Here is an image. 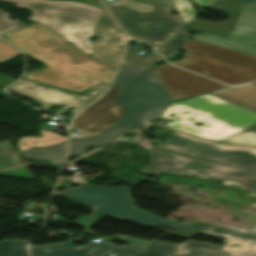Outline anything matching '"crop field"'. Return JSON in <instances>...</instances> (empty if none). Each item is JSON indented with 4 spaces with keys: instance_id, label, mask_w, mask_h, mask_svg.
<instances>
[{
    "instance_id": "crop-field-12",
    "label": "crop field",
    "mask_w": 256,
    "mask_h": 256,
    "mask_svg": "<svg viewBox=\"0 0 256 256\" xmlns=\"http://www.w3.org/2000/svg\"><path fill=\"white\" fill-rule=\"evenodd\" d=\"M192 39L256 55V3H245L227 38L199 33Z\"/></svg>"
},
{
    "instance_id": "crop-field-8",
    "label": "crop field",
    "mask_w": 256,
    "mask_h": 256,
    "mask_svg": "<svg viewBox=\"0 0 256 256\" xmlns=\"http://www.w3.org/2000/svg\"><path fill=\"white\" fill-rule=\"evenodd\" d=\"M176 247L168 241L154 239L147 247L115 246L106 240L74 247L73 242L30 246L32 256H170Z\"/></svg>"
},
{
    "instance_id": "crop-field-33",
    "label": "crop field",
    "mask_w": 256,
    "mask_h": 256,
    "mask_svg": "<svg viewBox=\"0 0 256 256\" xmlns=\"http://www.w3.org/2000/svg\"><path fill=\"white\" fill-rule=\"evenodd\" d=\"M39 180L45 182L46 184L50 185V186H53L52 184L48 183V179L46 177H43V178H39Z\"/></svg>"
},
{
    "instance_id": "crop-field-24",
    "label": "crop field",
    "mask_w": 256,
    "mask_h": 256,
    "mask_svg": "<svg viewBox=\"0 0 256 256\" xmlns=\"http://www.w3.org/2000/svg\"><path fill=\"white\" fill-rule=\"evenodd\" d=\"M189 37L187 29L183 28L172 40L166 45L157 48L164 56H173L178 53L180 44Z\"/></svg>"
},
{
    "instance_id": "crop-field-16",
    "label": "crop field",
    "mask_w": 256,
    "mask_h": 256,
    "mask_svg": "<svg viewBox=\"0 0 256 256\" xmlns=\"http://www.w3.org/2000/svg\"><path fill=\"white\" fill-rule=\"evenodd\" d=\"M242 3L243 2L216 0L209 8L228 13L230 15L229 20L213 23L193 21V23L189 25L187 29L226 36L236 19Z\"/></svg>"
},
{
    "instance_id": "crop-field-28",
    "label": "crop field",
    "mask_w": 256,
    "mask_h": 256,
    "mask_svg": "<svg viewBox=\"0 0 256 256\" xmlns=\"http://www.w3.org/2000/svg\"><path fill=\"white\" fill-rule=\"evenodd\" d=\"M226 238V237H224ZM236 244L242 245V249L239 251H229L225 250L226 252L232 253L231 255H238V256H249L251 252H256V244L255 241H248V240H238L232 238H226Z\"/></svg>"
},
{
    "instance_id": "crop-field-32",
    "label": "crop field",
    "mask_w": 256,
    "mask_h": 256,
    "mask_svg": "<svg viewBox=\"0 0 256 256\" xmlns=\"http://www.w3.org/2000/svg\"><path fill=\"white\" fill-rule=\"evenodd\" d=\"M118 142H126V143H133V137H127V138H120L117 140Z\"/></svg>"
},
{
    "instance_id": "crop-field-35",
    "label": "crop field",
    "mask_w": 256,
    "mask_h": 256,
    "mask_svg": "<svg viewBox=\"0 0 256 256\" xmlns=\"http://www.w3.org/2000/svg\"><path fill=\"white\" fill-rule=\"evenodd\" d=\"M238 1H254V2H256V0H238Z\"/></svg>"
},
{
    "instance_id": "crop-field-3",
    "label": "crop field",
    "mask_w": 256,
    "mask_h": 256,
    "mask_svg": "<svg viewBox=\"0 0 256 256\" xmlns=\"http://www.w3.org/2000/svg\"><path fill=\"white\" fill-rule=\"evenodd\" d=\"M182 49L184 59L172 64L228 85L256 80V56L195 40H187Z\"/></svg>"
},
{
    "instance_id": "crop-field-14",
    "label": "crop field",
    "mask_w": 256,
    "mask_h": 256,
    "mask_svg": "<svg viewBox=\"0 0 256 256\" xmlns=\"http://www.w3.org/2000/svg\"><path fill=\"white\" fill-rule=\"evenodd\" d=\"M93 37L99 38L92 45L93 56L116 70L126 45V36L106 11L99 19Z\"/></svg>"
},
{
    "instance_id": "crop-field-23",
    "label": "crop field",
    "mask_w": 256,
    "mask_h": 256,
    "mask_svg": "<svg viewBox=\"0 0 256 256\" xmlns=\"http://www.w3.org/2000/svg\"><path fill=\"white\" fill-rule=\"evenodd\" d=\"M184 23H187L195 16L187 0H172ZM197 6L206 7L212 0H194Z\"/></svg>"
},
{
    "instance_id": "crop-field-22",
    "label": "crop field",
    "mask_w": 256,
    "mask_h": 256,
    "mask_svg": "<svg viewBox=\"0 0 256 256\" xmlns=\"http://www.w3.org/2000/svg\"><path fill=\"white\" fill-rule=\"evenodd\" d=\"M0 256H27L25 241H21V240L0 241Z\"/></svg>"
},
{
    "instance_id": "crop-field-2",
    "label": "crop field",
    "mask_w": 256,
    "mask_h": 256,
    "mask_svg": "<svg viewBox=\"0 0 256 256\" xmlns=\"http://www.w3.org/2000/svg\"><path fill=\"white\" fill-rule=\"evenodd\" d=\"M174 112H177L175 116H169ZM178 115L182 121L166 126L218 141L256 123L255 112L210 94L171 103L161 118L170 120ZM190 117L193 119L189 121ZM199 122L204 124L196 126Z\"/></svg>"
},
{
    "instance_id": "crop-field-25",
    "label": "crop field",
    "mask_w": 256,
    "mask_h": 256,
    "mask_svg": "<svg viewBox=\"0 0 256 256\" xmlns=\"http://www.w3.org/2000/svg\"><path fill=\"white\" fill-rule=\"evenodd\" d=\"M225 142L239 143L256 147V125L224 140Z\"/></svg>"
},
{
    "instance_id": "crop-field-18",
    "label": "crop field",
    "mask_w": 256,
    "mask_h": 256,
    "mask_svg": "<svg viewBox=\"0 0 256 256\" xmlns=\"http://www.w3.org/2000/svg\"><path fill=\"white\" fill-rule=\"evenodd\" d=\"M210 94L256 112V82Z\"/></svg>"
},
{
    "instance_id": "crop-field-4",
    "label": "crop field",
    "mask_w": 256,
    "mask_h": 256,
    "mask_svg": "<svg viewBox=\"0 0 256 256\" xmlns=\"http://www.w3.org/2000/svg\"><path fill=\"white\" fill-rule=\"evenodd\" d=\"M105 5L130 36L146 40L153 47L184 25L179 15L169 14L175 10L171 0H121Z\"/></svg>"
},
{
    "instance_id": "crop-field-21",
    "label": "crop field",
    "mask_w": 256,
    "mask_h": 256,
    "mask_svg": "<svg viewBox=\"0 0 256 256\" xmlns=\"http://www.w3.org/2000/svg\"><path fill=\"white\" fill-rule=\"evenodd\" d=\"M152 68L150 66H134V67H120L119 72L112 85L117 86L121 89L125 88L135 79L140 77L146 71Z\"/></svg>"
},
{
    "instance_id": "crop-field-1",
    "label": "crop field",
    "mask_w": 256,
    "mask_h": 256,
    "mask_svg": "<svg viewBox=\"0 0 256 256\" xmlns=\"http://www.w3.org/2000/svg\"><path fill=\"white\" fill-rule=\"evenodd\" d=\"M1 1L30 9L29 19L39 22L4 34L7 41L48 66L27 72L25 78L75 92L109 83L115 71L89 55V37L104 9L72 1ZM69 42L74 45H68Z\"/></svg>"
},
{
    "instance_id": "crop-field-34",
    "label": "crop field",
    "mask_w": 256,
    "mask_h": 256,
    "mask_svg": "<svg viewBox=\"0 0 256 256\" xmlns=\"http://www.w3.org/2000/svg\"><path fill=\"white\" fill-rule=\"evenodd\" d=\"M172 121H180L179 116H178V117H176V118H174V119H172Z\"/></svg>"
},
{
    "instance_id": "crop-field-6",
    "label": "crop field",
    "mask_w": 256,
    "mask_h": 256,
    "mask_svg": "<svg viewBox=\"0 0 256 256\" xmlns=\"http://www.w3.org/2000/svg\"><path fill=\"white\" fill-rule=\"evenodd\" d=\"M60 194L112 217L120 220L130 219L147 227L163 224L178 231L196 232L210 227L180 224L135 208L134 201L130 198V188L126 186L111 188L83 184L79 188L65 190Z\"/></svg>"
},
{
    "instance_id": "crop-field-29",
    "label": "crop field",
    "mask_w": 256,
    "mask_h": 256,
    "mask_svg": "<svg viewBox=\"0 0 256 256\" xmlns=\"http://www.w3.org/2000/svg\"><path fill=\"white\" fill-rule=\"evenodd\" d=\"M22 54L17 48L0 39V64Z\"/></svg>"
},
{
    "instance_id": "crop-field-19",
    "label": "crop field",
    "mask_w": 256,
    "mask_h": 256,
    "mask_svg": "<svg viewBox=\"0 0 256 256\" xmlns=\"http://www.w3.org/2000/svg\"><path fill=\"white\" fill-rule=\"evenodd\" d=\"M66 143L67 141L42 149L22 151L21 154L32 159H51V163H62Z\"/></svg>"
},
{
    "instance_id": "crop-field-17",
    "label": "crop field",
    "mask_w": 256,
    "mask_h": 256,
    "mask_svg": "<svg viewBox=\"0 0 256 256\" xmlns=\"http://www.w3.org/2000/svg\"><path fill=\"white\" fill-rule=\"evenodd\" d=\"M135 128H138V126L131 119V117L127 115L111 129L107 130L106 132L100 134L97 137L72 140L70 143L69 154H83V151L87 145H103L111 143L120 135Z\"/></svg>"
},
{
    "instance_id": "crop-field-30",
    "label": "crop field",
    "mask_w": 256,
    "mask_h": 256,
    "mask_svg": "<svg viewBox=\"0 0 256 256\" xmlns=\"http://www.w3.org/2000/svg\"><path fill=\"white\" fill-rule=\"evenodd\" d=\"M118 239L123 240V241H128V242L138 244V245H144V246H146L148 243V241L135 239V238L127 237V236H120Z\"/></svg>"
},
{
    "instance_id": "crop-field-31",
    "label": "crop field",
    "mask_w": 256,
    "mask_h": 256,
    "mask_svg": "<svg viewBox=\"0 0 256 256\" xmlns=\"http://www.w3.org/2000/svg\"><path fill=\"white\" fill-rule=\"evenodd\" d=\"M79 221L78 223L79 224H81V225H83V226H87V225H89L93 220H95V218H93V217H90V216H85V215H81L79 218H77L76 220H75V222L76 221ZM88 227V226H87Z\"/></svg>"
},
{
    "instance_id": "crop-field-7",
    "label": "crop field",
    "mask_w": 256,
    "mask_h": 256,
    "mask_svg": "<svg viewBox=\"0 0 256 256\" xmlns=\"http://www.w3.org/2000/svg\"><path fill=\"white\" fill-rule=\"evenodd\" d=\"M159 148L256 171V149L199 140L175 131Z\"/></svg>"
},
{
    "instance_id": "crop-field-20",
    "label": "crop field",
    "mask_w": 256,
    "mask_h": 256,
    "mask_svg": "<svg viewBox=\"0 0 256 256\" xmlns=\"http://www.w3.org/2000/svg\"><path fill=\"white\" fill-rule=\"evenodd\" d=\"M39 132L41 133L42 138H34V137L21 138L18 142L19 150L20 151L27 150L34 146H38V147L50 146V145L67 140L65 137H61L60 135L54 134L50 131L46 132L43 130H39ZM27 138L29 140H26ZM23 140H26L27 142H23ZM33 142H36L37 144H33ZM22 143L26 144V146H21Z\"/></svg>"
},
{
    "instance_id": "crop-field-9",
    "label": "crop field",
    "mask_w": 256,
    "mask_h": 256,
    "mask_svg": "<svg viewBox=\"0 0 256 256\" xmlns=\"http://www.w3.org/2000/svg\"><path fill=\"white\" fill-rule=\"evenodd\" d=\"M124 90L126 93L120 102L140 126L149 124L151 118L160 117L172 102L155 69Z\"/></svg>"
},
{
    "instance_id": "crop-field-11",
    "label": "crop field",
    "mask_w": 256,
    "mask_h": 256,
    "mask_svg": "<svg viewBox=\"0 0 256 256\" xmlns=\"http://www.w3.org/2000/svg\"><path fill=\"white\" fill-rule=\"evenodd\" d=\"M122 92L111 86L103 97L83 110L71 124L72 128L80 130L72 138L95 136L126 115L127 112L116 101Z\"/></svg>"
},
{
    "instance_id": "crop-field-10",
    "label": "crop field",
    "mask_w": 256,
    "mask_h": 256,
    "mask_svg": "<svg viewBox=\"0 0 256 256\" xmlns=\"http://www.w3.org/2000/svg\"><path fill=\"white\" fill-rule=\"evenodd\" d=\"M23 79L11 85L8 89L36 100L37 104L44 106L43 110L54 104H67L58 112L62 113L67 108L73 107L75 109L71 111L72 115L98 97L107 87L106 85L94 87L81 95Z\"/></svg>"
},
{
    "instance_id": "crop-field-13",
    "label": "crop field",
    "mask_w": 256,
    "mask_h": 256,
    "mask_svg": "<svg viewBox=\"0 0 256 256\" xmlns=\"http://www.w3.org/2000/svg\"><path fill=\"white\" fill-rule=\"evenodd\" d=\"M172 101L184 97L226 88L227 86L204 79L169 64L155 68Z\"/></svg>"
},
{
    "instance_id": "crop-field-15",
    "label": "crop field",
    "mask_w": 256,
    "mask_h": 256,
    "mask_svg": "<svg viewBox=\"0 0 256 256\" xmlns=\"http://www.w3.org/2000/svg\"><path fill=\"white\" fill-rule=\"evenodd\" d=\"M202 233L238 238L256 240V229L252 228H228L212 226ZM180 246V245H179ZM222 248L208 246L206 244L187 241L180 247L176 248L171 256H229ZM250 256H256V253H251Z\"/></svg>"
},
{
    "instance_id": "crop-field-26",
    "label": "crop field",
    "mask_w": 256,
    "mask_h": 256,
    "mask_svg": "<svg viewBox=\"0 0 256 256\" xmlns=\"http://www.w3.org/2000/svg\"><path fill=\"white\" fill-rule=\"evenodd\" d=\"M163 58L160 57L158 54H150L142 57L135 58L128 50L125 53L124 59L122 61L121 66H134V65H149L155 62L162 60ZM129 61L128 63H125Z\"/></svg>"
},
{
    "instance_id": "crop-field-5",
    "label": "crop field",
    "mask_w": 256,
    "mask_h": 256,
    "mask_svg": "<svg viewBox=\"0 0 256 256\" xmlns=\"http://www.w3.org/2000/svg\"><path fill=\"white\" fill-rule=\"evenodd\" d=\"M134 143L148 149L149 152L151 163L141 171L154 175L162 171L194 175L242 185L256 191V173L254 172L155 149L144 137L142 130L135 132Z\"/></svg>"
},
{
    "instance_id": "crop-field-27",
    "label": "crop field",
    "mask_w": 256,
    "mask_h": 256,
    "mask_svg": "<svg viewBox=\"0 0 256 256\" xmlns=\"http://www.w3.org/2000/svg\"><path fill=\"white\" fill-rule=\"evenodd\" d=\"M9 15L10 14L0 10V35L26 26L24 23L20 22L17 19L14 21L10 20L9 18H7Z\"/></svg>"
}]
</instances>
